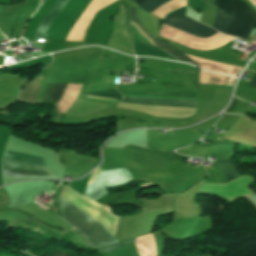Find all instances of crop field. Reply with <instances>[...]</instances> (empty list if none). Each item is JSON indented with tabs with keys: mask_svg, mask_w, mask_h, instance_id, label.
<instances>
[{
	"mask_svg": "<svg viewBox=\"0 0 256 256\" xmlns=\"http://www.w3.org/2000/svg\"><path fill=\"white\" fill-rule=\"evenodd\" d=\"M3 157L46 165L45 158L43 157L22 154V153L7 151V150L4 151ZM5 158H2V168L52 175L51 172L48 170V168L44 165H38L33 163L5 159ZM5 169H2V174L50 176V175L27 173V172L13 171V170H5Z\"/></svg>",
	"mask_w": 256,
	"mask_h": 256,
	"instance_id": "obj_7",
	"label": "crop field"
},
{
	"mask_svg": "<svg viewBox=\"0 0 256 256\" xmlns=\"http://www.w3.org/2000/svg\"><path fill=\"white\" fill-rule=\"evenodd\" d=\"M66 1L67 0H57L56 3L52 6V8L49 10L47 15L42 20V22L37 27L36 32L34 34L35 40L38 37L44 36V33H45L48 25L50 24L51 20L58 13V11L62 8V6L66 3Z\"/></svg>",
	"mask_w": 256,
	"mask_h": 256,
	"instance_id": "obj_9",
	"label": "crop field"
},
{
	"mask_svg": "<svg viewBox=\"0 0 256 256\" xmlns=\"http://www.w3.org/2000/svg\"><path fill=\"white\" fill-rule=\"evenodd\" d=\"M128 150L134 161L149 167H160L174 163L182 158H188L169 151H150L128 145Z\"/></svg>",
	"mask_w": 256,
	"mask_h": 256,
	"instance_id": "obj_8",
	"label": "crop field"
},
{
	"mask_svg": "<svg viewBox=\"0 0 256 256\" xmlns=\"http://www.w3.org/2000/svg\"><path fill=\"white\" fill-rule=\"evenodd\" d=\"M134 239H135V238H134ZM134 239L124 240V241H122V242H119V243L114 244V245H112V246H109V247H107V248H104V249H102V250H100V251L106 252V251H110V250L119 248V247H121V246H124V245H127V244L133 242Z\"/></svg>",
	"mask_w": 256,
	"mask_h": 256,
	"instance_id": "obj_13",
	"label": "crop field"
},
{
	"mask_svg": "<svg viewBox=\"0 0 256 256\" xmlns=\"http://www.w3.org/2000/svg\"><path fill=\"white\" fill-rule=\"evenodd\" d=\"M63 192L67 193L71 197L75 198L79 202L83 203L87 207L91 208L95 212L99 213L103 217L107 218L108 220L116 224L118 218L102 210L101 208L97 207L96 205L92 204L91 202L87 201L86 199L82 198L81 196L75 194L74 192L70 191L65 187ZM61 200H63L65 203H67L68 205L73 207L75 210L80 212L82 215H84L85 217L90 219L92 222L97 224L99 227H101L96 221H94L91 217H89L88 215H86L85 213L77 209L75 206H73L63 198H61ZM63 201L60 202L62 219H64L66 222H68L69 224L77 228L83 234V236L87 239V243L91 247L96 249L106 247L108 245V242L111 236L109 234H111L112 232L102 228L103 227L102 226L101 228L107 231L109 233L108 234L107 232L99 228L97 225L92 223L90 220L82 216L80 213L75 211L73 208L65 204Z\"/></svg>",
	"mask_w": 256,
	"mask_h": 256,
	"instance_id": "obj_1",
	"label": "crop field"
},
{
	"mask_svg": "<svg viewBox=\"0 0 256 256\" xmlns=\"http://www.w3.org/2000/svg\"><path fill=\"white\" fill-rule=\"evenodd\" d=\"M214 6L238 15L245 21L253 23V28H256V15L244 2L240 0H216ZM223 10L218 9L213 28L224 34L246 39L253 24Z\"/></svg>",
	"mask_w": 256,
	"mask_h": 256,
	"instance_id": "obj_3",
	"label": "crop field"
},
{
	"mask_svg": "<svg viewBox=\"0 0 256 256\" xmlns=\"http://www.w3.org/2000/svg\"><path fill=\"white\" fill-rule=\"evenodd\" d=\"M216 164L221 169L227 182L240 176L232 161H216Z\"/></svg>",
	"mask_w": 256,
	"mask_h": 256,
	"instance_id": "obj_11",
	"label": "crop field"
},
{
	"mask_svg": "<svg viewBox=\"0 0 256 256\" xmlns=\"http://www.w3.org/2000/svg\"><path fill=\"white\" fill-rule=\"evenodd\" d=\"M235 79H236V78H235ZM234 81H235V80H234ZM233 84H234V82H233ZM233 84H232V85H233Z\"/></svg>",
	"mask_w": 256,
	"mask_h": 256,
	"instance_id": "obj_17",
	"label": "crop field"
},
{
	"mask_svg": "<svg viewBox=\"0 0 256 256\" xmlns=\"http://www.w3.org/2000/svg\"><path fill=\"white\" fill-rule=\"evenodd\" d=\"M241 70H242V69H241ZM241 70H240V71H241ZM238 74H239V73H238ZM238 74H237L236 76H238Z\"/></svg>",
	"mask_w": 256,
	"mask_h": 256,
	"instance_id": "obj_16",
	"label": "crop field"
},
{
	"mask_svg": "<svg viewBox=\"0 0 256 256\" xmlns=\"http://www.w3.org/2000/svg\"><path fill=\"white\" fill-rule=\"evenodd\" d=\"M239 102V100L233 98L231 104L229 105L228 109L225 112L234 113Z\"/></svg>",
	"mask_w": 256,
	"mask_h": 256,
	"instance_id": "obj_14",
	"label": "crop field"
},
{
	"mask_svg": "<svg viewBox=\"0 0 256 256\" xmlns=\"http://www.w3.org/2000/svg\"><path fill=\"white\" fill-rule=\"evenodd\" d=\"M100 166L92 172L91 178H97L100 174ZM133 181L132 176L124 168L102 171L98 179H91L84 196L98 202L103 196L109 194L106 187L117 186Z\"/></svg>",
	"mask_w": 256,
	"mask_h": 256,
	"instance_id": "obj_6",
	"label": "crop field"
},
{
	"mask_svg": "<svg viewBox=\"0 0 256 256\" xmlns=\"http://www.w3.org/2000/svg\"><path fill=\"white\" fill-rule=\"evenodd\" d=\"M68 84H49L43 101L58 102L64 94Z\"/></svg>",
	"mask_w": 256,
	"mask_h": 256,
	"instance_id": "obj_10",
	"label": "crop field"
},
{
	"mask_svg": "<svg viewBox=\"0 0 256 256\" xmlns=\"http://www.w3.org/2000/svg\"><path fill=\"white\" fill-rule=\"evenodd\" d=\"M248 87L256 88V73L252 78L251 82L249 83Z\"/></svg>",
	"mask_w": 256,
	"mask_h": 256,
	"instance_id": "obj_15",
	"label": "crop field"
},
{
	"mask_svg": "<svg viewBox=\"0 0 256 256\" xmlns=\"http://www.w3.org/2000/svg\"><path fill=\"white\" fill-rule=\"evenodd\" d=\"M87 94H91V95H96V96H100V97H109V98H114V99H119L121 100L122 97L120 96V94H118L116 92L115 89H109L106 91H102V92H95V93H87ZM81 97V96H80ZM87 98V97H86ZM93 99V98H92ZM104 101V100H103ZM110 102V101H109ZM116 103V102H115Z\"/></svg>",
	"mask_w": 256,
	"mask_h": 256,
	"instance_id": "obj_12",
	"label": "crop field"
},
{
	"mask_svg": "<svg viewBox=\"0 0 256 256\" xmlns=\"http://www.w3.org/2000/svg\"><path fill=\"white\" fill-rule=\"evenodd\" d=\"M129 15L131 17V22L133 25L140 31V33L147 39L149 40L152 44L158 46L159 48L167 51L168 53L174 55L176 58H178L181 61L189 62L191 64H195L191 59L187 58L186 56L182 55L181 53L175 51L171 46L168 44L157 41L149 32L148 30L143 27L136 15V12L134 9H129L128 8ZM133 35H134V47H135V52L138 55H151V56H156V57H162L170 60H176L174 56L168 54L167 52L159 49L158 47L152 45L150 42H148L140 33L139 31L133 26ZM196 65V64H195Z\"/></svg>",
	"mask_w": 256,
	"mask_h": 256,
	"instance_id": "obj_4",
	"label": "crop field"
},
{
	"mask_svg": "<svg viewBox=\"0 0 256 256\" xmlns=\"http://www.w3.org/2000/svg\"><path fill=\"white\" fill-rule=\"evenodd\" d=\"M141 0H136V4L138 2H140ZM170 1V0H142L140 3H138L137 5L139 7H141L142 9H144L147 12H151L152 10H154L157 6ZM184 8H181L169 15H167L163 22L171 25L177 29H180L184 32H187L191 35H195L198 37H210L212 35H214L215 33H217V31L203 25L200 24L194 20H191L187 17L183 16L184 13Z\"/></svg>",
	"mask_w": 256,
	"mask_h": 256,
	"instance_id": "obj_5",
	"label": "crop field"
},
{
	"mask_svg": "<svg viewBox=\"0 0 256 256\" xmlns=\"http://www.w3.org/2000/svg\"><path fill=\"white\" fill-rule=\"evenodd\" d=\"M128 94L195 99V96L191 93L160 94V93L147 92V93H128ZM123 100L140 102V103L169 104V105L195 107V101H188V100H174V99H160V98H146V97H132V96H125ZM125 101H121L117 107L133 109V110L141 111L157 117L186 118L191 115H194V108H190V107L140 104V103L125 102Z\"/></svg>",
	"mask_w": 256,
	"mask_h": 256,
	"instance_id": "obj_2",
	"label": "crop field"
}]
</instances>
